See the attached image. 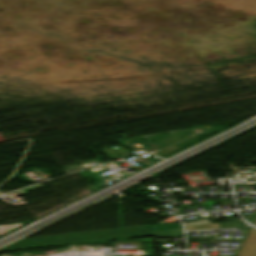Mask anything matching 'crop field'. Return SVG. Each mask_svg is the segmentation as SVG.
<instances>
[{"label":"crop field","mask_w":256,"mask_h":256,"mask_svg":"<svg viewBox=\"0 0 256 256\" xmlns=\"http://www.w3.org/2000/svg\"><path fill=\"white\" fill-rule=\"evenodd\" d=\"M154 238H183L181 228L155 232Z\"/></svg>","instance_id":"obj_1"},{"label":"crop field","mask_w":256,"mask_h":256,"mask_svg":"<svg viewBox=\"0 0 256 256\" xmlns=\"http://www.w3.org/2000/svg\"><path fill=\"white\" fill-rule=\"evenodd\" d=\"M4 141H6L3 137H2V135L0 134V142H4Z\"/></svg>","instance_id":"obj_2"}]
</instances>
